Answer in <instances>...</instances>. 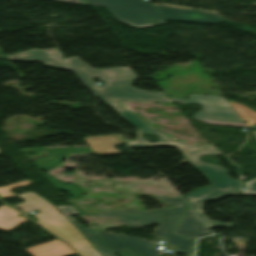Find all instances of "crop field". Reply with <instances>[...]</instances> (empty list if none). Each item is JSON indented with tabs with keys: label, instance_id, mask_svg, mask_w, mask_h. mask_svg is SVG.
<instances>
[{
	"label": "crop field",
	"instance_id": "crop-field-12",
	"mask_svg": "<svg viewBox=\"0 0 256 256\" xmlns=\"http://www.w3.org/2000/svg\"><path fill=\"white\" fill-rule=\"evenodd\" d=\"M84 140L97 155L121 153L113 146L119 143H126L123 135L95 136Z\"/></svg>",
	"mask_w": 256,
	"mask_h": 256
},
{
	"label": "crop field",
	"instance_id": "crop-field-1",
	"mask_svg": "<svg viewBox=\"0 0 256 256\" xmlns=\"http://www.w3.org/2000/svg\"><path fill=\"white\" fill-rule=\"evenodd\" d=\"M70 66L89 84V86L103 99L111 108L116 110L121 117L137 127V140L129 141V147H173L178 148L189 161V163L199 169L212 183L209 188L196 189L188 194L186 199L194 210L212 227H230L231 224H223L218 221L210 222L203 213L205 202L215 200L237 193L240 188L239 181L227 177V169L207 164L199 160L201 155H212L216 153L214 145L206 147L189 146L183 141L173 142L150 124L134 115L130 111L118 104L121 99H135L140 101L172 102L164 93H154L150 91L135 89L130 84L138 78L136 73L128 67H116L109 69H94L85 64L79 57L65 59ZM101 79L105 86L97 87L93 78ZM141 133L155 134L160 137L157 143H149Z\"/></svg>",
	"mask_w": 256,
	"mask_h": 256
},
{
	"label": "crop field",
	"instance_id": "crop-field-16",
	"mask_svg": "<svg viewBox=\"0 0 256 256\" xmlns=\"http://www.w3.org/2000/svg\"><path fill=\"white\" fill-rule=\"evenodd\" d=\"M47 178L57 187L60 189H64L67 190L74 198H79L80 195V191L72 184H67V186H64V184L66 183H60L56 180H54L53 178H51L50 176L47 175Z\"/></svg>",
	"mask_w": 256,
	"mask_h": 256
},
{
	"label": "crop field",
	"instance_id": "crop-field-6",
	"mask_svg": "<svg viewBox=\"0 0 256 256\" xmlns=\"http://www.w3.org/2000/svg\"><path fill=\"white\" fill-rule=\"evenodd\" d=\"M98 235L108 244L114 251L127 250L141 256H158L160 250H157L158 243H151L142 239L125 236L122 234L113 235L106 231L98 233Z\"/></svg>",
	"mask_w": 256,
	"mask_h": 256
},
{
	"label": "crop field",
	"instance_id": "crop-field-18",
	"mask_svg": "<svg viewBox=\"0 0 256 256\" xmlns=\"http://www.w3.org/2000/svg\"><path fill=\"white\" fill-rule=\"evenodd\" d=\"M245 187L247 188L241 193H247V194H256V179L249 181L246 183Z\"/></svg>",
	"mask_w": 256,
	"mask_h": 256
},
{
	"label": "crop field",
	"instance_id": "crop-field-7",
	"mask_svg": "<svg viewBox=\"0 0 256 256\" xmlns=\"http://www.w3.org/2000/svg\"><path fill=\"white\" fill-rule=\"evenodd\" d=\"M154 5L161 13L165 21H190L201 24H216L225 21L222 16L210 12L156 4Z\"/></svg>",
	"mask_w": 256,
	"mask_h": 256
},
{
	"label": "crop field",
	"instance_id": "crop-field-2",
	"mask_svg": "<svg viewBox=\"0 0 256 256\" xmlns=\"http://www.w3.org/2000/svg\"><path fill=\"white\" fill-rule=\"evenodd\" d=\"M153 197L163 199L164 202H168L170 206H176V208L147 212L111 210L100 212L97 215L101 217H114L116 222L124 223L132 228L159 223V227L154 230L152 236L164 237L168 240L167 243L177 247L176 252L192 254L193 241L172 233L187 205L182 199L178 198Z\"/></svg>",
	"mask_w": 256,
	"mask_h": 256
},
{
	"label": "crop field",
	"instance_id": "crop-field-11",
	"mask_svg": "<svg viewBox=\"0 0 256 256\" xmlns=\"http://www.w3.org/2000/svg\"><path fill=\"white\" fill-rule=\"evenodd\" d=\"M57 208L66 217V219L72 225H74L103 256H115L114 253L101 241V239L93 230L81 227L75 223L73 218L67 217V215L78 214L72 206H57Z\"/></svg>",
	"mask_w": 256,
	"mask_h": 256
},
{
	"label": "crop field",
	"instance_id": "crop-field-8",
	"mask_svg": "<svg viewBox=\"0 0 256 256\" xmlns=\"http://www.w3.org/2000/svg\"><path fill=\"white\" fill-rule=\"evenodd\" d=\"M9 60L42 61L45 66L70 70L60 58L56 49H32L16 55L7 56Z\"/></svg>",
	"mask_w": 256,
	"mask_h": 256
},
{
	"label": "crop field",
	"instance_id": "crop-field-10",
	"mask_svg": "<svg viewBox=\"0 0 256 256\" xmlns=\"http://www.w3.org/2000/svg\"><path fill=\"white\" fill-rule=\"evenodd\" d=\"M206 226L197 218L194 212L188 207L181 222L176 228V234L195 240L199 235H206Z\"/></svg>",
	"mask_w": 256,
	"mask_h": 256
},
{
	"label": "crop field",
	"instance_id": "crop-field-13",
	"mask_svg": "<svg viewBox=\"0 0 256 256\" xmlns=\"http://www.w3.org/2000/svg\"><path fill=\"white\" fill-rule=\"evenodd\" d=\"M33 256H68L75 252L59 240L26 248Z\"/></svg>",
	"mask_w": 256,
	"mask_h": 256
},
{
	"label": "crop field",
	"instance_id": "crop-field-9",
	"mask_svg": "<svg viewBox=\"0 0 256 256\" xmlns=\"http://www.w3.org/2000/svg\"><path fill=\"white\" fill-rule=\"evenodd\" d=\"M25 154L40 153V150H48L47 157L38 158V163H33L37 168L48 170L59 162L72 151H92L90 148H62V149H42V148H20Z\"/></svg>",
	"mask_w": 256,
	"mask_h": 256
},
{
	"label": "crop field",
	"instance_id": "crop-field-17",
	"mask_svg": "<svg viewBox=\"0 0 256 256\" xmlns=\"http://www.w3.org/2000/svg\"><path fill=\"white\" fill-rule=\"evenodd\" d=\"M27 184H31V182H29V181L19 182V183L11 184V185L6 186V187H2V188H0V196L3 199L14 196L13 194L8 192L7 190L17 188V187H20V186H24V185H27Z\"/></svg>",
	"mask_w": 256,
	"mask_h": 256
},
{
	"label": "crop field",
	"instance_id": "crop-field-14",
	"mask_svg": "<svg viewBox=\"0 0 256 256\" xmlns=\"http://www.w3.org/2000/svg\"><path fill=\"white\" fill-rule=\"evenodd\" d=\"M20 213L14 211L13 209L3 205L0 207V228L4 230H11L20 223L24 222L26 219L23 217H16Z\"/></svg>",
	"mask_w": 256,
	"mask_h": 256
},
{
	"label": "crop field",
	"instance_id": "crop-field-20",
	"mask_svg": "<svg viewBox=\"0 0 256 256\" xmlns=\"http://www.w3.org/2000/svg\"><path fill=\"white\" fill-rule=\"evenodd\" d=\"M115 254H117V255H119V256H138V255H136V254H133V253L127 252V251H121V252H117V253H115Z\"/></svg>",
	"mask_w": 256,
	"mask_h": 256
},
{
	"label": "crop field",
	"instance_id": "crop-field-4",
	"mask_svg": "<svg viewBox=\"0 0 256 256\" xmlns=\"http://www.w3.org/2000/svg\"><path fill=\"white\" fill-rule=\"evenodd\" d=\"M89 5L104 6L113 17L136 28L165 24L156 9L141 0H86Z\"/></svg>",
	"mask_w": 256,
	"mask_h": 256
},
{
	"label": "crop field",
	"instance_id": "crop-field-21",
	"mask_svg": "<svg viewBox=\"0 0 256 256\" xmlns=\"http://www.w3.org/2000/svg\"><path fill=\"white\" fill-rule=\"evenodd\" d=\"M0 59H2V60H8L7 57H6L5 55H3V54H0Z\"/></svg>",
	"mask_w": 256,
	"mask_h": 256
},
{
	"label": "crop field",
	"instance_id": "crop-field-3",
	"mask_svg": "<svg viewBox=\"0 0 256 256\" xmlns=\"http://www.w3.org/2000/svg\"><path fill=\"white\" fill-rule=\"evenodd\" d=\"M17 197L25 202L15 205L16 207H20L25 212L38 209L41 213L34 215L38 219L37 222L69 242L81 256H101L89 245L83 235L47 201L32 192L18 195Z\"/></svg>",
	"mask_w": 256,
	"mask_h": 256
},
{
	"label": "crop field",
	"instance_id": "crop-field-5",
	"mask_svg": "<svg viewBox=\"0 0 256 256\" xmlns=\"http://www.w3.org/2000/svg\"><path fill=\"white\" fill-rule=\"evenodd\" d=\"M173 102L201 105L202 110L195 113L193 119L213 125L239 126L246 125L239 118L232 106L224 97H212L190 94L189 99L171 98Z\"/></svg>",
	"mask_w": 256,
	"mask_h": 256
},
{
	"label": "crop field",
	"instance_id": "crop-field-19",
	"mask_svg": "<svg viewBox=\"0 0 256 256\" xmlns=\"http://www.w3.org/2000/svg\"><path fill=\"white\" fill-rule=\"evenodd\" d=\"M53 1L73 2V3H77V4H85V5H87L84 0H53Z\"/></svg>",
	"mask_w": 256,
	"mask_h": 256
},
{
	"label": "crop field",
	"instance_id": "crop-field-23",
	"mask_svg": "<svg viewBox=\"0 0 256 256\" xmlns=\"http://www.w3.org/2000/svg\"><path fill=\"white\" fill-rule=\"evenodd\" d=\"M160 256V255H159Z\"/></svg>",
	"mask_w": 256,
	"mask_h": 256
},
{
	"label": "crop field",
	"instance_id": "crop-field-22",
	"mask_svg": "<svg viewBox=\"0 0 256 256\" xmlns=\"http://www.w3.org/2000/svg\"><path fill=\"white\" fill-rule=\"evenodd\" d=\"M253 133L255 134V136H256V131H253Z\"/></svg>",
	"mask_w": 256,
	"mask_h": 256
},
{
	"label": "crop field",
	"instance_id": "crop-field-15",
	"mask_svg": "<svg viewBox=\"0 0 256 256\" xmlns=\"http://www.w3.org/2000/svg\"><path fill=\"white\" fill-rule=\"evenodd\" d=\"M230 104L233 106V108L236 110L238 115L241 117V119L247 120L246 122L247 126H251L254 123H256V112L252 109L248 108L247 106L241 105L236 102L229 101Z\"/></svg>",
	"mask_w": 256,
	"mask_h": 256
}]
</instances>
